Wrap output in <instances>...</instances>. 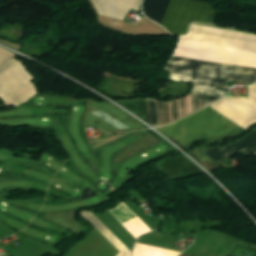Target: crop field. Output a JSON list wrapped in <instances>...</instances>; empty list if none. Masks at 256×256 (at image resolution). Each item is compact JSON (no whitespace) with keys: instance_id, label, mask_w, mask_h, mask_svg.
Masks as SVG:
<instances>
[{"instance_id":"1","label":"crop field","mask_w":256,"mask_h":256,"mask_svg":"<svg viewBox=\"0 0 256 256\" xmlns=\"http://www.w3.org/2000/svg\"><path fill=\"white\" fill-rule=\"evenodd\" d=\"M182 41L256 52V36L236 31L191 26ZM179 41L172 56L256 68V53ZM170 57L164 71L169 79L194 82L192 91L215 92L229 80L252 84L256 69Z\"/></svg>"},{"instance_id":"12","label":"crop field","mask_w":256,"mask_h":256,"mask_svg":"<svg viewBox=\"0 0 256 256\" xmlns=\"http://www.w3.org/2000/svg\"><path fill=\"white\" fill-rule=\"evenodd\" d=\"M156 143H158V141H156L152 136L147 134L142 141L122 152L118 157L115 158V160L116 162H121L124 158Z\"/></svg>"},{"instance_id":"7","label":"crop field","mask_w":256,"mask_h":256,"mask_svg":"<svg viewBox=\"0 0 256 256\" xmlns=\"http://www.w3.org/2000/svg\"><path fill=\"white\" fill-rule=\"evenodd\" d=\"M99 14L121 19L131 9L138 10L141 0H92Z\"/></svg>"},{"instance_id":"13","label":"crop field","mask_w":256,"mask_h":256,"mask_svg":"<svg viewBox=\"0 0 256 256\" xmlns=\"http://www.w3.org/2000/svg\"><path fill=\"white\" fill-rule=\"evenodd\" d=\"M147 105H148V113H149L150 124L157 127L158 126V120H157V111H156L155 100L147 99Z\"/></svg>"},{"instance_id":"3","label":"crop field","mask_w":256,"mask_h":256,"mask_svg":"<svg viewBox=\"0 0 256 256\" xmlns=\"http://www.w3.org/2000/svg\"><path fill=\"white\" fill-rule=\"evenodd\" d=\"M237 127L239 126L207 106L184 119L157 130L184 146L203 136L213 141Z\"/></svg>"},{"instance_id":"6","label":"crop field","mask_w":256,"mask_h":256,"mask_svg":"<svg viewBox=\"0 0 256 256\" xmlns=\"http://www.w3.org/2000/svg\"><path fill=\"white\" fill-rule=\"evenodd\" d=\"M247 148L256 155V130L247 135L243 140L237 141L225 147L224 149L220 147H214L204 151L203 153L220 164L222 161Z\"/></svg>"},{"instance_id":"5","label":"crop field","mask_w":256,"mask_h":256,"mask_svg":"<svg viewBox=\"0 0 256 256\" xmlns=\"http://www.w3.org/2000/svg\"><path fill=\"white\" fill-rule=\"evenodd\" d=\"M248 92L249 97L224 96L210 107L245 129L256 123V87Z\"/></svg>"},{"instance_id":"11","label":"crop field","mask_w":256,"mask_h":256,"mask_svg":"<svg viewBox=\"0 0 256 256\" xmlns=\"http://www.w3.org/2000/svg\"><path fill=\"white\" fill-rule=\"evenodd\" d=\"M179 254V252L136 243L132 256H178Z\"/></svg>"},{"instance_id":"10","label":"crop field","mask_w":256,"mask_h":256,"mask_svg":"<svg viewBox=\"0 0 256 256\" xmlns=\"http://www.w3.org/2000/svg\"><path fill=\"white\" fill-rule=\"evenodd\" d=\"M75 211L67 212V213H49L43 217V219L55 222L57 224H61L65 228L78 233L80 225L77 223L74 217Z\"/></svg>"},{"instance_id":"4","label":"crop field","mask_w":256,"mask_h":256,"mask_svg":"<svg viewBox=\"0 0 256 256\" xmlns=\"http://www.w3.org/2000/svg\"><path fill=\"white\" fill-rule=\"evenodd\" d=\"M30 80L20 62L11 59L0 65V96L6 107L22 104L37 93Z\"/></svg>"},{"instance_id":"8","label":"crop field","mask_w":256,"mask_h":256,"mask_svg":"<svg viewBox=\"0 0 256 256\" xmlns=\"http://www.w3.org/2000/svg\"><path fill=\"white\" fill-rule=\"evenodd\" d=\"M121 225H123L135 238L150 232V230L137 218V216L123 203L108 211Z\"/></svg>"},{"instance_id":"2","label":"crop field","mask_w":256,"mask_h":256,"mask_svg":"<svg viewBox=\"0 0 256 256\" xmlns=\"http://www.w3.org/2000/svg\"><path fill=\"white\" fill-rule=\"evenodd\" d=\"M169 0H143L145 16L160 24ZM213 11L205 3L195 0H170L161 26L172 34L187 33L191 22L211 23Z\"/></svg>"},{"instance_id":"14","label":"crop field","mask_w":256,"mask_h":256,"mask_svg":"<svg viewBox=\"0 0 256 256\" xmlns=\"http://www.w3.org/2000/svg\"><path fill=\"white\" fill-rule=\"evenodd\" d=\"M207 105L219 99L222 95L192 93Z\"/></svg>"},{"instance_id":"9","label":"crop field","mask_w":256,"mask_h":256,"mask_svg":"<svg viewBox=\"0 0 256 256\" xmlns=\"http://www.w3.org/2000/svg\"><path fill=\"white\" fill-rule=\"evenodd\" d=\"M81 216L120 251L116 256H131V252L91 212L82 211Z\"/></svg>"}]
</instances>
